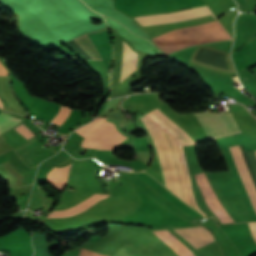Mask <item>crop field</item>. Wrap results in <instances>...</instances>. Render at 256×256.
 I'll use <instances>...</instances> for the list:
<instances>
[{"label":"crop field","mask_w":256,"mask_h":256,"mask_svg":"<svg viewBox=\"0 0 256 256\" xmlns=\"http://www.w3.org/2000/svg\"><path fill=\"white\" fill-rule=\"evenodd\" d=\"M218 23L212 21L195 27L173 30L153 40L158 47L170 54L200 43L230 39L231 37Z\"/></svg>","instance_id":"crop-field-1"},{"label":"crop field","mask_w":256,"mask_h":256,"mask_svg":"<svg viewBox=\"0 0 256 256\" xmlns=\"http://www.w3.org/2000/svg\"><path fill=\"white\" fill-rule=\"evenodd\" d=\"M146 116L148 117V119H149L152 127L154 128V130H155V132H156V134H157V136L159 138V141L161 143L163 154H164V158H165V162H166V167H167V171H168V175H169V179H170V184H171L172 192L175 193L177 196H179L178 195V191H177V187H176V183H175V178H174V174H173V170H172V166H171V161H170L167 145H166L164 137H163L160 129L158 128V126L162 130H164L177 143L178 149H179V153H180V157H181V161H182V165H183L185 176H186V180H187V184H188V188H189V193H190V199H191L192 207L195 208L197 211L203 213L197 207V202H196L195 194H194L192 183H191V179H190V174H189V171H188V168H187V165H186V161H185V156H184L182 145L179 143V141L172 134H170L168 131H166L162 126H160L156 122L158 124V126H157L155 121H154V119L152 117H150L148 114H146ZM140 179H142L145 182H147L150 186H152L154 189H156L158 192H160L162 195H164L168 200H170L172 203H174L180 209L185 211L187 214H189V215H196V216H203V215L195 212L194 210H192L190 207H188L186 204H184L182 201H180L178 198H176L174 195H172L169 191H167L164 187H162L160 184H158L156 181H154L148 175H146L144 173H141L140 174ZM205 216H207V215H205Z\"/></svg>","instance_id":"crop-field-2"},{"label":"crop field","mask_w":256,"mask_h":256,"mask_svg":"<svg viewBox=\"0 0 256 256\" xmlns=\"http://www.w3.org/2000/svg\"><path fill=\"white\" fill-rule=\"evenodd\" d=\"M209 140L240 133L232 113L229 114H195Z\"/></svg>","instance_id":"crop-field-3"},{"label":"crop field","mask_w":256,"mask_h":256,"mask_svg":"<svg viewBox=\"0 0 256 256\" xmlns=\"http://www.w3.org/2000/svg\"><path fill=\"white\" fill-rule=\"evenodd\" d=\"M125 138L116 130L113 124L104 121L83 140L81 146L111 150Z\"/></svg>","instance_id":"crop-field-4"},{"label":"crop field","mask_w":256,"mask_h":256,"mask_svg":"<svg viewBox=\"0 0 256 256\" xmlns=\"http://www.w3.org/2000/svg\"><path fill=\"white\" fill-rule=\"evenodd\" d=\"M213 15L207 6L197 7L177 12L164 13V14H153L142 17H135L143 26L171 23L177 21H183L188 19H194L204 16ZM214 17V15H213ZM215 19V17H214Z\"/></svg>","instance_id":"crop-field-5"},{"label":"crop field","mask_w":256,"mask_h":256,"mask_svg":"<svg viewBox=\"0 0 256 256\" xmlns=\"http://www.w3.org/2000/svg\"><path fill=\"white\" fill-rule=\"evenodd\" d=\"M66 1L86 21V23L93 30H98V29L107 27L105 20L102 18V16L100 14H97L91 11L81 0H66ZM91 19L100 20L101 23L99 25H95L91 22ZM35 45L45 49H53L59 46V45H39V44H35Z\"/></svg>","instance_id":"crop-field-6"},{"label":"crop field","mask_w":256,"mask_h":256,"mask_svg":"<svg viewBox=\"0 0 256 256\" xmlns=\"http://www.w3.org/2000/svg\"><path fill=\"white\" fill-rule=\"evenodd\" d=\"M237 147H238V149H239L240 155H241L242 160H243V162H244V165H245V167H246V170H247V173H248L249 178H250V180H251V183H252V186H253V188H254V191H255V193H256V182H255V179H254V176H253L251 167H250V165H249V162H248L246 153H245V151H244V149H243L242 147H239V146H237ZM237 147H236V146H235V147H231V149H232L233 155H234V157H235V159H236V162H237V164H238V166H239V168H240V171H241V173H242V175H243V178H244V180H245V182H246V185H247V187H248V190H249V192H250V194H251L253 203H254L255 208H256V196H255V193H254L253 188H252V186H251L250 180H249L248 175H247V173H246L245 167H244V165H243V162H242V160H241V157H240V155H239V152H238Z\"/></svg>","instance_id":"crop-field-7"},{"label":"crop field","mask_w":256,"mask_h":256,"mask_svg":"<svg viewBox=\"0 0 256 256\" xmlns=\"http://www.w3.org/2000/svg\"><path fill=\"white\" fill-rule=\"evenodd\" d=\"M174 231L190 243L195 249L215 242L212 236L202 228Z\"/></svg>","instance_id":"crop-field-8"},{"label":"crop field","mask_w":256,"mask_h":256,"mask_svg":"<svg viewBox=\"0 0 256 256\" xmlns=\"http://www.w3.org/2000/svg\"><path fill=\"white\" fill-rule=\"evenodd\" d=\"M195 177H196V179H197V181L200 185V188H201L207 202L210 204V206L212 207L214 212L217 214L219 219L222 221V223L231 222L229 216L224 211L223 207L218 202V200L215 198V196H214V194H213V192H212L204 174L197 175Z\"/></svg>","instance_id":"crop-field-9"},{"label":"crop field","mask_w":256,"mask_h":256,"mask_svg":"<svg viewBox=\"0 0 256 256\" xmlns=\"http://www.w3.org/2000/svg\"><path fill=\"white\" fill-rule=\"evenodd\" d=\"M107 196H109V195L92 194L89 197H87L86 199H84L83 201H81L80 203H78L72 207H69L64 210H53L47 217H68V216L77 214V213L89 208L90 206L95 204L97 201H99L100 199H103Z\"/></svg>","instance_id":"crop-field-10"},{"label":"crop field","mask_w":256,"mask_h":256,"mask_svg":"<svg viewBox=\"0 0 256 256\" xmlns=\"http://www.w3.org/2000/svg\"><path fill=\"white\" fill-rule=\"evenodd\" d=\"M137 52H133L124 42L122 48L120 82L136 71Z\"/></svg>","instance_id":"crop-field-11"},{"label":"crop field","mask_w":256,"mask_h":256,"mask_svg":"<svg viewBox=\"0 0 256 256\" xmlns=\"http://www.w3.org/2000/svg\"><path fill=\"white\" fill-rule=\"evenodd\" d=\"M68 167H69V165L66 167H63V168H54L53 167V169L47 176L48 183L59 191H61L62 188L64 187V185L67 183Z\"/></svg>","instance_id":"crop-field-12"},{"label":"crop field","mask_w":256,"mask_h":256,"mask_svg":"<svg viewBox=\"0 0 256 256\" xmlns=\"http://www.w3.org/2000/svg\"><path fill=\"white\" fill-rule=\"evenodd\" d=\"M99 31V30H98ZM76 40L94 60H102L97 49L93 46V44L85 37V35L80 36Z\"/></svg>","instance_id":"crop-field-13"},{"label":"crop field","mask_w":256,"mask_h":256,"mask_svg":"<svg viewBox=\"0 0 256 256\" xmlns=\"http://www.w3.org/2000/svg\"><path fill=\"white\" fill-rule=\"evenodd\" d=\"M10 115L0 113V123L5 121L6 119L10 118ZM22 119L12 116L10 119L6 120L5 122L0 124V134L9 130L16 124L20 123Z\"/></svg>","instance_id":"crop-field-14"},{"label":"crop field","mask_w":256,"mask_h":256,"mask_svg":"<svg viewBox=\"0 0 256 256\" xmlns=\"http://www.w3.org/2000/svg\"><path fill=\"white\" fill-rule=\"evenodd\" d=\"M104 120L105 118L97 117L93 122L75 130L74 132L86 138Z\"/></svg>","instance_id":"crop-field-15"},{"label":"crop field","mask_w":256,"mask_h":256,"mask_svg":"<svg viewBox=\"0 0 256 256\" xmlns=\"http://www.w3.org/2000/svg\"><path fill=\"white\" fill-rule=\"evenodd\" d=\"M70 110H71V109L62 106L61 109H60V111L58 112V114L55 116V118H54L51 122H52L53 124H56V125L60 126L61 123H62L63 121H65L66 118L68 117Z\"/></svg>","instance_id":"crop-field-16"},{"label":"crop field","mask_w":256,"mask_h":256,"mask_svg":"<svg viewBox=\"0 0 256 256\" xmlns=\"http://www.w3.org/2000/svg\"><path fill=\"white\" fill-rule=\"evenodd\" d=\"M14 129L17 130L19 133H21L27 139L34 135L28 129H26L22 124Z\"/></svg>","instance_id":"crop-field-17"},{"label":"crop field","mask_w":256,"mask_h":256,"mask_svg":"<svg viewBox=\"0 0 256 256\" xmlns=\"http://www.w3.org/2000/svg\"><path fill=\"white\" fill-rule=\"evenodd\" d=\"M79 256H106V255L96 253V252H93V251L86 250V249L82 248Z\"/></svg>","instance_id":"crop-field-18"},{"label":"crop field","mask_w":256,"mask_h":256,"mask_svg":"<svg viewBox=\"0 0 256 256\" xmlns=\"http://www.w3.org/2000/svg\"><path fill=\"white\" fill-rule=\"evenodd\" d=\"M249 226H250V229L252 231V236H253V239L255 240L256 242V223H248Z\"/></svg>","instance_id":"crop-field-19"},{"label":"crop field","mask_w":256,"mask_h":256,"mask_svg":"<svg viewBox=\"0 0 256 256\" xmlns=\"http://www.w3.org/2000/svg\"><path fill=\"white\" fill-rule=\"evenodd\" d=\"M0 75H8L4 66L0 63Z\"/></svg>","instance_id":"crop-field-20"},{"label":"crop field","mask_w":256,"mask_h":256,"mask_svg":"<svg viewBox=\"0 0 256 256\" xmlns=\"http://www.w3.org/2000/svg\"><path fill=\"white\" fill-rule=\"evenodd\" d=\"M0 108H2V104H1V102H0ZM3 109V108H2Z\"/></svg>","instance_id":"crop-field-21"}]
</instances>
